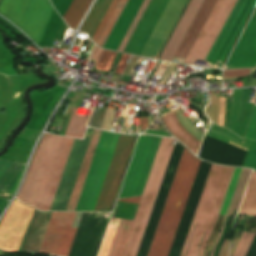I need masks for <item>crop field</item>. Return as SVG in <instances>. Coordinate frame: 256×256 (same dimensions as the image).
<instances>
[{"instance_id": "8a807250", "label": "crop field", "mask_w": 256, "mask_h": 256, "mask_svg": "<svg viewBox=\"0 0 256 256\" xmlns=\"http://www.w3.org/2000/svg\"><path fill=\"white\" fill-rule=\"evenodd\" d=\"M173 139L162 138L134 221L112 218L99 256H135L165 173Z\"/></svg>"}, {"instance_id": "ac0d7876", "label": "crop field", "mask_w": 256, "mask_h": 256, "mask_svg": "<svg viewBox=\"0 0 256 256\" xmlns=\"http://www.w3.org/2000/svg\"><path fill=\"white\" fill-rule=\"evenodd\" d=\"M73 140L45 134L17 196L20 201L40 210L50 209Z\"/></svg>"}, {"instance_id": "34b2d1b8", "label": "crop field", "mask_w": 256, "mask_h": 256, "mask_svg": "<svg viewBox=\"0 0 256 256\" xmlns=\"http://www.w3.org/2000/svg\"><path fill=\"white\" fill-rule=\"evenodd\" d=\"M236 1L217 0L185 63L191 64L194 58L205 60ZM255 3L256 0L237 1L206 61L215 64L217 60H220L223 63Z\"/></svg>"}, {"instance_id": "412701ff", "label": "crop field", "mask_w": 256, "mask_h": 256, "mask_svg": "<svg viewBox=\"0 0 256 256\" xmlns=\"http://www.w3.org/2000/svg\"><path fill=\"white\" fill-rule=\"evenodd\" d=\"M200 160L184 149L148 256H167Z\"/></svg>"}, {"instance_id": "f4fd0767", "label": "crop field", "mask_w": 256, "mask_h": 256, "mask_svg": "<svg viewBox=\"0 0 256 256\" xmlns=\"http://www.w3.org/2000/svg\"><path fill=\"white\" fill-rule=\"evenodd\" d=\"M234 169L211 165L181 256H184L196 222L197 225L186 256H197L199 244L207 230L199 252V256L203 255L204 245L217 221Z\"/></svg>"}, {"instance_id": "dd49c442", "label": "crop field", "mask_w": 256, "mask_h": 256, "mask_svg": "<svg viewBox=\"0 0 256 256\" xmlns=\"http://www.w3.org/2000/svg\"><path fill=\"white\" fill-rule=\"evenodd\" d=\"M52 10L49 0H2L0 3V13L20 27L36 44Z\"/></svg>"}, {"instance_id": "e52e79f7", "label": "crop field", "mask_w": 256, "mask_h": 256, "mask_svg": "<svg viewBox=\"0 0 256 256\" xmlns=\"http://www.w3.org/2000/svg\"><path fill=\"white\" fill-rule=\"evenodd\" d=\"M161 138L140 135L136 151L125 179L119 199L142 195L150 168L152 166ZM139 198L121 200L120 202L138 204Z\"/></svg>"}, {"instance_id": "d8731c3e", "label": "crop field", "mask_w": 256, "mask_h": 256, "mask_svg": "<svg viewBox=\"0 0 256 256\" xmlns=\"http://www.w3.org/2000/svg\"><path fill=\"white\" fill-rule=\"evenodd\" d=\"M113 135L114 134L110 133V132H104V131L102 132L99 144L97 146L90 170L88 172V175H87V178H86V181H85V184H84V187H83V190H82V193L79 198V201H78L75 211H87L88 210V207H89L91 198L93 196V193H94L100 172L102 170L109 146L111 144ZM118 135L119 134L114 135L111 147L109 149L102 173L100 175V178H99V181H98V184H97V187H96V190H95V193H94V196H93V199L91 201L88 211L94 210V207H95V204H96V201H97V198H98V195H99V192H100V189H101V186H102V183H103V180H104V177H105V174H106V171H107V168H108V165H109V162H110V159H111V156H112V153H113L116 141H117V138H118Z\"/></svg>"}, {"instance_id": "5a996713", "label": "crop field", "mask_w": 256, "mask_h": 256, "mask_svg": "<svg viewBox=\"0 0 256 256\" xmlns=\"http://www.w3.org/2000/svg\"><path fill=\"white\" fill-rule=\"evenodd\" d=\"M136 136L119 135L94 211H111Z\"/></svg>"}, {"instance_id": "3316defc", "label": "crop field", "mask_w": 256, "mask_h": 256, "mask_svg": "<svg viewBox=\"0 0 256 256\" xmlns=\"http://www.w3.org/2000/svg\"><path fill=\"white\" fill-rule=\"evenodd\" d=\"M75 214L52 213L39 253L68 256L77 229H71Z\"/></svg>"}, {"instance_id": "28ad6ade", "label": "crop field", "mask_w": 256, "mask_h": 256, "mask_svg": "<svg viewBox=\"0 0 256 256\" xmlns=\"http://www.w3.org/2000/svg\"><path fill=\"white\" fill-rule=\"evenodd\" d=\"M34 209L14 201L0 224V249L17 251Z\"/></svg>"}, {"instance_id": "d1516ede", "label": "crop field", "mask_w": 256, "mask_h": 256, "mask_svg": "<svg viewBox=\"0 0 256 256\" xmlns=\"http://www.w3.org/2000/svg\"><path fill=\"white\" fill-rule=\"evenodd\" d=\"M256 64V10L230 56L225 68L253 67ZM256 66V65H255Z\"/></svg>"}, {"instance_id": "22f410ed", "label": "crop field", "mask_w": 256, "mask_h": 256, "mask_svg": "<svg viewBox=\"0 0 256 256\" xmlns=\"http://www.w3.org/2000/svg\"><path fill=\"white\" fill-rule=\"evenodd\" d=\"M238 214L256 217V172L253 171ZM255 233L243 231L233 256H245Z\"/></svg>"}, {"instance_id": "cbeb9de0", "label": "crop field", "mask_w": 256, "mask_h": 256, "mask_svg": "<svg viewBox=\"0 0 256 256\" xmlns=\"http://www.w3.org/2000/svg\"><path fill=\"white\" fill-rule=\"evenodd\" d=\"M202 2L203 0L190 1L167 46L165 47L160 59L171 61L175 51L177 50L180 42L182 41Z\"/></svg>"}, {"instance_id": "5142ce71", "label": "crop field", "mask_w": 256, "mask_h": 256, "mask_svg": "<svg viewBox=\"0 0 256 256\" xmlns=\"http://www.w3.org/2000/svg\"><path fill=\"white\" fill-rule=\"evenodd\" d=\"M52 212L34 211L20 251L38 252Z\"/></svg>"}, {"instance_id": "d9b57169", "label": "crop field", "mask_w": 256, "mask_h": 256, "mask_svg": "<svg viewBox=\"0 0 256 256\" xmlns=\"http://www.w3.org/2000/svg\"><path fill=\"white\" fill-rule=\"evenodd\" d=\"M23 163L0 160V196L11 198L24 169Z\"/></svg>"}, {"instance_id": "733c2abd", "label": "crop field", "mask_w": 256, "mask_h": 256, "mask_svg": "<svg viewBox=\"0 0 256 256\" xmlns=\"http://www.w3.org/2000/svg\"><path fill=\"white\" fill-rule=\"evenodd\" d=\"M215 2L216 0L204 1L192 25L190 26L186 36L184 37L181 45L179 46L175 56L186 58L190 48L192 47L197 35L199 34Z\"/></svg>"}, {"instance_id": "4a817a6b", "label": "crop field", "mask_w": 256, "mask_h": 256, "mask_svg": "<svg viewBox=\"0 0 256 256\" xmlns=\"http://www.w3.org/2000/svg\"><path fill=\"white\" fill-rule=\"evenodd\" d=\"M102 131L94 130L66 211H74Z\"/></svg>"}, {"instance_id": "bc2a9ffb", "label": "crop field", "mask_w": 256, "mask_h": 256, "mask_svg": "<svg viewBox=\"0 0 256 256\" xmlns=\"http://www.w3.org/2000/svg\"><path fill=\"white\" fill-rule=\"evenodd\" d=\"M161 118L170 132L188 149L197 154L201 142L183 128L176 117L175 111L169 113H161Z\"/></svg>"}, {"instance_id": "214f88e0", "label": "crop field", "mask_w": 256, "mask_h": 256, "mask_svg": "<svg viewBox=\"0 0 256 256\" xmlns=\"http://www.w3.org/2000/svg\"><path fill=\"white\" fill-rule=\"evenodd\" d=\"M127 1L128 0H112L110 6L108 7L105 15L103 16L101 22L99 23L96 31L94 32V34L91 38L98 46H100V47L103 46V44H100L101 40L103 39V37L106 35V33L109 31L112 24L114 23V21L117 17V14H118L121 3L122 2L127 3ZM124 6H125V4L123 3L121 8H120L118 17L120 15V13L122 12ZM118 17H117V19H118ZM117 19H116V21H117ZM116 21H115V23H116ZM114 24H113V26H114ZM113 26H112V28H113ZM112 28L107 33L105 38L102 40L103 43H105V41H106L109 33L111 32Z\"/></svg>"}, {"instance_id": "92a150f3", "label": "crop field", "mask_w": 256, "mask_h": 256, "mask_svg": "<svg viewBox=\"0 0 256 256\" xmlns=\"http://www.w3.org/2000/svg\"><path fill=\"white\" fill-rule=\"evenodd\" d=\"M92 0H73L67 12L64 15L68 25L75 29L84 14L86 13Z\"/></svg>"}, {"instance_id": "dafd665d", "label": "crop field", "mask_w": 256, "mask_h": 256, "mask_svg": "<svg viewBox=\"0 0 256 256\" xmlns=\"http://www.w3.org/2000/svg\"><path fill=\"white\" fill-rule=\"evenodd\" d=\"M110 2L111 0H98L81 31L87 32L92 36Z\"/></svg>"}, {"instance_id": "00972430", "label": "crop field", "mask_w": 256, "mask_h": 256, "mask_svg": "<svg viewBox=\"0 0 256 256\" xmlns=\"http://www.w3.org/2000/svg\"><path fill=\"white\" fill-rule=\"evenodd\" d=\"M76 109L77 108L73 109V113L64 136L82 139L86 129L85 126L89 118L74 116Z\"/></svg>"}, {"instance_id": "a9b5d70f", "label": "crop field", "mask_w": 256, "mask_h": 256, "mask_svg": "<svg viewBox=\"0 0 256 256\" xmlns=\"http://www.w3.org/2000/svg\"><path fill=\"white\" fill-rule=\"evenodd\" d=\"M115 55H116L115 52L105 50L96 69L102 70V71H108L115 58Z\"/></svg>"}, {"instance_id": "4177f3b9", "label": "crop field", "mask_w": 256, "mask_h": 256, "mask_svg": "<svg viewBox=\"0 0 256 256\" xmlns=\"http://www.w3.org/2000/svg\"><path fill=\"white\" fill-rule=\"evenodd\" d=\"M242 169L236 168L223 207L228 208Z\"/></svg>"}, {"instance_id": "730fd06b", "label": "crop field", "mask_w": 256, "mask_h": 256, "mask_svg": "<svg viewBox=\"0 0 256 256\" xmlns=\"http://www.w3.org/2000/svg\"><path fill=\"white\" fill-rule=\"evenodd\" d=\"M148 1H149V0H145L144 3L142 4V6H141V8H140V10H139V12H138V14L136 15V17H135V19H134V21H133V23H132V25H131V27L129 28V30H128L126 36H125V38L123 39V41H122V43H121V45H120L118 51H120V52L123 51V49H124V47H125V45H126L128 39H129L130 35L132 34V32H133V30H134V28H135V26H136V24H137V22H138L140 16L142 15V13H143V11H144V9H145V7H146ZM116 51H117V50H116Z\"/></svg>"}, {"instance_id": "eef30255", "label": "crop field", "mask_w": 256, "mask_h": 256, "mask_svg": "<svg viewBox=\"0 0 256 256\" xmlns=\"http://www.w3.org/2000/svg\"><path fill=\"white\" fill-rule=\"evenodd\" d=\"M244 139L256 141V106L254 107L250 123Z\"/></svg>"}, {"instance_id": "ae1a2a85", "label": "crop field", "mask_w": 256, "mask_h": 256, "mask_svg": "<svg viewBox=\"0 0 256 256\" xmlns=\"http://www.w3.org/2000/svg\"><path fill=\"white\" fill-rule=\"evenodd\" d=\"M254 104L255 103H249V105H248V109H247V112H246V115H245V118H244V121H243V125H242V128H241L240 134H239V136L242 137V138L244 137V134H245V131H246V128H247V125H248V122H249Z\"/></svg>"}, {"instance_id": "d3111659", "label": "crop field", "mask_w": 256, "mask_h": 256, "mask_svg": "<svg viewBox=\"0 0 256 256\" xmlns=\"http://www.w3.org/2000/svg\"><path fill=\"white\" fill-rule=\"evenodd\" d=\"M249 72L250 69L224 70V77L247 76Z\"/></svg>"}, {"instance_id": "750c4746", "label": "crop field", "mask_w": 256, "mask_h": 256, "mask_svg": "<svg viewBox=\"0 0 256 256\" xmlns=\"http://www.w3.org/2000/svg\"><path fill=\"white\" fill-rule=\"evenodd\" d=\"M224 111H225V98L220 97V113L218 124L223 126L224 123Z\"/></svg>"}, {"instance_id": "bd1437ed", "label": "crop field", "mask_w": 256, "mask_h": 256, "mask_svg": "<svg viewBox=\"0 0 256 256\" xmlns=\"http://www.w3.org/2000/svg\"><path fill=\"white\" fill-rule=\"evenodd\" d=\"M128 58H129V55H125V54L123 55V57H122L119 65H118L115 73H117V74H122L123 73L124 68H125V66L127 64L126 61H127Z\"/></svg>"}, {"instance_id": "1d83c4d3", "label": "crop field", "mask_w": 256, "mask_h": 256, "mask_svg": "<svg viewBox=\"0 0 256 256\" xmlns=\"http://www.w3.org/2000/svg\"><path fill=\"white\" fill-rule=\"evenodd\" d=\"M103 51L104 50L97 48L96 45H95L93 53H92V55L90 57V59L96 60V64L95 65H97V63H98V61H99Z\"/></svg>"}, {"instance_id": "120bbe31", "label": "crop field", "mask_w": 256, "mask_h": 256, "mask_svg": "<svg viewBox=\"0 0 256 256\" xmlns=\"http://www.w3.org/2000/svg\"><path fill=\"white\" fill-rule=\"evenodd\" d=\"M229 243L230 241H225L221 251H220V255L219 256H228V251H229Z\"/></svg>"}, {"instance_id": "d32e631a", "label": "crop field", "mask_w": 256, "mask_h": 256, "mask_svg": "<svg viewBox=\"0 0 256 256\" xmlns=\"http://www.w3.org/2000/svg\"><path fill=\"white\" fill-rule=\"evenodd\" d=\"M144 133L146 134H153V135H161V136H168V133L167 132H162V131H152V130H146Z\"/></svg>"}, {"instance_id": "5866460e", "label": "crop field", "mask_w": 256, "mask_h": 256, "mask_svg": "<svg viewBox=\"0 0 256 256\" xmlns=\"http://www.w3.org/2000/svg\"><path fill=\"white\" fill-rule=\"evenodd\" d=\"M141 130H145L148 127L147 117L140 118Z\"/></svg>"}, {"instance_id": "028f5c9d", "label": "crop field", "mask_w": 256, "mask_h": 256, "mask_svg": "<svg viewBox=\"0 0 256 256\" xmlns=\"http://www.w3.org/2000/svg\"><path fill=\"white\" fill-rule=\"evenodd\" d=\"M6 203H7L6 201L0 199V213L2 212V210H3L4 206L6 205Z\"/></svg>"}, {"instance_id": "e1f06a70", "label": "crop field", "mask_w": 256, "mask_h": 256, "mask_svg": "<svg viewBox=\"0 0 256 256\" xmlns=\"http://www.w3.org/2000/svg\"><path fill=\"white\" fill-rule=\"evenodd\" d=\"M148 120H149V125L151 124V120H150V117L148 118Z\"/></svg>"}]
</instances>
